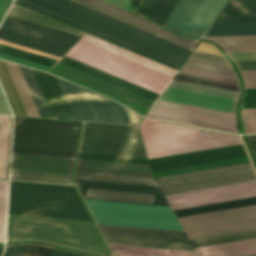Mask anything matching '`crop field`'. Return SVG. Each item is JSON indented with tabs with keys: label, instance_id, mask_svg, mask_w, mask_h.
Wrapping results in <instances>:
<instances>
[{
	"label": "crop field",
	"instance_id": "1",
	"mask_svg": "<svg viewBox=\"0 0 256 256\" xmlns=\"http://www.w3.org/2000/svg\"><path fill=\"white\" fill-rule=\"evenodd\" d=\"M15 3L94 34L139 54L179 68L191 51L70 0H15Z\"/></svg>",
	"mask_w": 256,
	"mask_h": 256
},
{
	"label": "crop field",
	"instance_id": "2",
	"mask_svg": "<svg viewBox=\"0 0 256 256\" xmlns=\"http://www.w3.org/2000/svg\"><path fill=\"white\" fill-rule=\"evenodd\" d=\"M37 239L109 255L93 222L9 214L7 240Z\"/></svg>",
	"mask_w": 256,
	"mask_h": 256
},
{
	"label": "crop field",
	"instance_id": "3",
	"mask_svg": "<svg viewBox=\"0 0 256 256\" xmlns=\"http://www.w3.org/2000/svg\"><path fill=\"white\" fill-rule=\"evenodd\" d=\"M9 213L91 221L74 187L11 182Z\"/></svg>",
	"mask_w": 256,
	"mask_h": 256
},
{
	"label": "crop field",
	"instance_id": "4",
	"mask_svg": "<svg viewBox=\"0 0 256 256\" xmlns=\"http://www.w3.org/2000/svg\"><path fill=\"white\" fill-rule=\"evenodd\" d=\"M80 122L15 117L13 152L75 158Z\"/></svg>",
	"mask_w": 256,
	"mask_h": 256
},
{
	"label": "crop field",
	"instance_id": "5",
	"mask_svg": "<svg viewBox=\"0 0 256 256\" xmlns=\"http://www.w3.org/2000/svg\"><path fill=\"white\" fill-rule=\"evenodd\" d=\"M140 128L149 159L241 143L237 136L146 118L143 119ZM202 131H205V134Z\"/></svg>",
	"mask_w": 256,
	"mask_h": 256
},
{
	"label": "crop field",
	"instance_id": "6",
	"mask_svg": "<svg viewBox=\"0 0 256 256\" xmlns=\"http://www.w3.org/2000/svg\"><path fill=\"white\" fill-rule=\"evenodd\" d=\"M99 227L107 243L194 251L185 232L105 225ZM113 244L109 246L114 256H197L190 251Z\"/></svg>",
	"mask_w": 256,
	"mask_h": 256
},
{
	"label": "crop field",
	"instance_id": "7",
	"mask_svg": "<svg viewBox=\"0 0 256 256\" xmlns=\"http://www.w3.org/2000/svg\"><path fill=\"white\" fill-rule=\"evenodd\" d=\"M131 83L160 94L171 77L80 40L67 54Z\"/></svg>",
	"mask_w": 256,
	"mask_h": 256
},
{
	"label": "crop field",
	"instance_id": "8",
	"mask_svg": "<svg viewBox=\"0 0 256 256\" xmlns=\"http://www.w3.org/2000/svg\"><path fill=\"white\" fill-rule=\"evenodd\" d=\"M97 224L183 231L170 207L85 199Z\"/></svg>",
	"mask_w": 256,
	"mask_h": 256
},
{
	"label": "crop field",
	"instance_id": "9",
	"mask_svg": "<svg viewBox=\"0 0 256 256\" xmlns=\"http://www.w3.org/2000/svg\"><path fill=\"white\" fill-rule=\"evenodd\" d=\"M84 152L147 158L139 126L85 122Z\"/></svg>",
	"mask_w": 256,
	"mask_h": 256
},
{
	"label": "crop field",
	"instance_id": "10",
	"mask_svg": "<svg viewBox=\"0 0 256 256\" xmlns=\"http://www.w3.org/2000/svg\"><path fill=\"white\" fill-rule=\"evenodd\" d=\"M57 80L75 119L139 124L143 118L106 97L62 79Z\"/></svg>",
	"mask_w": 256,
	"mask_h": 256
},
{
	"label": "crop field",
	"instance_id": "11",
	"mask_svg": "<svg viewBox=\"0 0 256 256\" xmlns=\"http://www.w3.org/2000/svg\"><path fill=\"white\" fill-rule=\"evenodd\" d=\"M80 36L6 16L0 39L62 57Z\"/></svg>",
	"mask_w": 256,
	"mask_h": 256
},
{
	"label": "crop field",
	"instance_id": "12",
	"mask_svg": "<svg viewBox=\"0 0 256 256\" xmlns=\"http://www.w3.org/2000/svg\"><path fill=\"white\" fill-rule=\"evenodd\" d=\"M190 239L256 227V205L178 218Z\"/></svg>",
	"mask_w": 256,
	"mask_h": 256
},
{
	"label": "crop field",
	"instance_id": "13",
	"mask_svg": "<svg viewBox=\"0 0 256 256\" xmlns=\"http://www.w3.org/2000/svg\"><path fill=\"white\" fill-rule=\"evenodd\" d=\"M226 2L179 0L163 26L185 37L202 39Z\"/></svg>",
	"mask_w": 256,
	"mask_h": 256
},
{
	"label": "crop field",
	"instance_id": "14",
	"mask_svg": "<svg viewBox=\"0 0 256 256\" xmlns=\"http://www.w3.org/2000/svg\"><path fill=\"white\" fill-rule=\"evenodd\" d=\"M183 179L185 181H183ZM256 179L249 163L157 178L163 195ZM172 182V183H170Z\"/></svg>",
	"mask_w": 256,
	"mask_h": 256
},
{
	"label": "crop field",
	"instance_id": "15",
	"mask_svg": "<svg viewBox=\"0 0 256 256\" xmlns=\"http://www.w3.org/2000/svg\"><path fill=\"white\" fill-rule=\"evenodd\" d=\"M74 160L13 153L11 179L71 184Z\"/></svg>",
	"mask_w": 256,
	"mask_h": 256
},
{
	"label": "crop field",
	"instance_id": "16",
	"mask_svg": "<svg viewBox=\"0 0 256 256\" xmlns=\"http://www.w3.org/2000/svg\"><path fill=\"white\" fill-rule=\"evenodd\" d=\"M247 156L242 145H233L210 150L180 154L175 156L157 158V159H143L123 156H113L104 154L84 153L80 152L79 157L134 162L150 164L152 172L245 157Z\"/></svg>",
	"mask_w": 256,
	"mask_h": 256
},
{
	"label": "crop field",
	"instance_id": "17",
	"mask_svg": "<svg viewBox=\"0 0 256 256\" xmlns=\"http://www.w3.org/2000/svg\"><path fill=\"white\" fill-rule=\"evenodd\" d=\"M174 79L238 91V80L220 55L194 51Z\"/></svg>",
	"mask_w": 256,
	"mask_h": 256
},
{
	"label": "crop field",
	"instance_id": "18",
	"mask_svg": "<svg viewBox=\"0 0 256 256\" xmlns=\"http://www.w3.org/2000/svg\"><path fill=\"white\" fill-rule=\"evenodd\" d=\"M75 178L157 186L149 165L78 158Z\"/></svg>",
	"mask_w": 256,
	"mask_h": 256
},
{
	"label": "crop field",
	"instance_id": "19",
	"mask_svg": "<svg viewBox=\"0 0 256 256\" xmlns=\"http://www.w3.org/2000/svg\"><path fill=\"white\" fill-rule=\"evenodd\" d=\"M83 198L169 206L158 187L75 179Z\"/></svg>",
	"mask_w": 256,
	"mask_h": 256
},
{
	"label": "crop field",
	"instance_id": "20",
	"mask_svg": "<svg viewBox=\"0 0 256 256\" xmlns=\"http://www.w3.org/2000/svg\"><path fill=\"white\" fill-rule=\"evenodd\" d=\"M254 195H256V180L166 195L165 198L172 209H176Z\"/></svg>",
	"mask_w": 256,
	"mask_h": 256
},
{
	"label": "crop field",
	"instance_id": "21",
	"mask_svg": "<svg viewBox=\"0 0 256 256\" xmlns=\"http://www.w3.org/2000/svg\"><path fill=\"white\" fill-rule=\"evenodd\" d=\"M72 1L82 4L86 7H89L93 10L101 12L110 17H113L122 22H125L129 25L136 27V28L144 30L148 33L156 35L160 38H163L167 41L175 43L179 46L187 48L191 51H193V49L199 43V41H196V40L184 39L180 36L174 35V34L170 33L169 31H167L165 28L159 26L158 24H156L148 19H145L141 16L133 14L129 11L121 9L117 6L109 4L102 0H72Z\"/></svg>",
	"mask_w": 256,
	"mask_h": 256
},
{
	"label": "crop field",
	"instance_id": "22",
	"mask_svg": "<svg viewBox=\"0 0 256 256\" xmlns=\"http://www.w3.org/2000/svg\"><path fill=\"white\" fill-rule=\"evenodd\" d=\"M151 113L236 127L235 114L158 100Z\"/></svg>",
	"mask_w": 256,
	"mask_h": 256
},
{
	"label": "crop field",
	"instance_id": "23",
	"mask_svg": "<svg viewBox=\"0 0 256 256\" xmlns=\"http://www.w3.org/2000/svg\"><path fill=\"white\" fill-rule=\"evenodd\" d=\"M159 99L233 113H235V106L237 101L235 99H229L169 87L164 90Z\"/></svg>",
	"mask_w": 256,
	"mask_h": 256
},
{
	"label": "crop field",
	"instance_id": "24",
	"mask_svg": "<svg viewBox=\"0 0 256 256\" xmlns=\"http://www.w3.org/2000/svg\"><path fill=\"white\" fill-rule=\"evenodd\" d=\"M52 117L74 119L56 78L31 69Z\"/></svg>",
	"mask_w": 256,
	"mask_h": 256
},
{
	"label": "crop field",
	"instance_id": "25",
	"mask_svg": "<svg viewBox=\"0 0 256 256\" xmlns=\"http://www.w3.org/2000/svg\"><path fill=\"white\" fill-rule=\"evenodd\" d=\"M196 252L256 242V228L191 240Z\"/></svg>",
	"mask_w": 256,
	"mask_h": 256
},
{
	"label": "crop field",
	"instance_id": "26",
	"mask_svg": "<svg viewBox=\"0 0 256 256\" xmlns=\"http://www.w3.org/2000/svg\"><path fill=\"white\" fill-rule=\"evenodd\" d=\"M60 62L65 63V64H67V65H69V66H72V67H74V68H77V69H79V70H81V71H84V72H86V73H89V74H91V75H93V76H96V77H98V78H101V79H103V80H105V81H108V82H110V83H113V84H115V85H117V86H120V87H122V88H125V89H127V90H129V91H132V92H134V93H137V94H139V95H141V96H144V97H146V98H149V99H151V100H153V101H155V99L158 97V94H156V93H153V92H151V91H149V90H146V89H144V88H141V87H139V86H136V85H134V84H131V83L127 82V81H124V80H122V79H119V78H117V77H114V76H112V75H110V74H107V73H105V72H102V71H100V70H97V69H95V68H93V67H90V66H88V65H85V64L80 63V62H78V61H75V60H73V59H71V58H68V57H66V56H64V57L60 60Z\"/></svg>",
	"mask_w": 256,
	"mask_h": 256
},
{
	"label": "crop field",
	"instance_id": "27",
	"mask_svg": "<svg viewBox=\"0 0 256 256\" xmlns=\"http://www.w3.org/2000/svg\"><path fill=\"white\" fill-rule=\"evenodd\" d=\"M82 40L87 41V42H89V43H91V44H94V45H96V46H99V47H101V48H104V49H106V50H108V51H111V52H113V53H116V54H118V55H120V56H123V57H125V58H128V59H130V60H133V61H135V62H137V63H140V64H142V65H145V66H147V67H150V68H152V69H154V70H157V71H159V72H162V73H164V74H166V75H169V76H171V77H173L174 73L176 72V70H174V69H171V68H168V67H166V66H163V65H160V64H158V63H155V62H153V61H150V60H148V59H146V58H143V57L138 56V55H136V54H134V53H131V52H129V51H126V50H124V49H121V48H119V47H117V46H114V45H112V44H109V43H107V42H105V41H102V40H100V39H97V38H95V37H93V36H90V35H88V34H86V35L82 38Z\"/></svg>",
	"mask_w": 256,
	"mask_h": 256
},
{
	"label": "crop field",
	"instance_id": "28",
	"mask_svg": "<svg viewBox=\"0 0 256 256\" xmlns=\"http://www.w3.org/2000/svg\"><path fill=\"white\" fill-rule=\"evenodd\" d=\"M54 68L151 107L153 101L58 62Z\"/></svg>",
	"mask_w": 256,
	"mask_h": 256
},
{
	"label": "crop field",
	"instance_id": "29",
	"mask_svg": "<svg viewBox=\"0 0 256 256\" xmlns=\"http://www.w3.org/2000/svg\"><path fill=\"white\" fill-rule=\"evenodd\" d=\"M141 0H131L134 8ZM178 0H143L136 11L163 25Z\"/></svg>",
	"mask_w": 256,
	"mask_h": 256
},
{
	"label": "crop field",
	"instance_id": "30",
	"mask_svg": "<svg viewBox=\"0 0 256 256\" xmlns=\"http://www.w3.org/2000/svg\"><path fill=\"white\" fill-rule=\"evenodd\" d=\"M49 73L54 74V75H56V76H58V77H61V78H63V79H66V80H68V81H71V82H73V83H75V84H78V85H80V86H83V87H85V88H87V89H90V90H92V91H95V92H97V93H100V94H102V95H104V96H107V97H109V98H112V99H114V100H116V101H118V102H120V103H122V104L128 106L129 108H131L132 110L136 111L137 113H139V114H141V115H145L146 111L149 109V107H147V106H144V105L139 104V103H137V102H135V101H132V100H130V99H127V98H125V97H122V96H120V95H117V94H115V93H113V92H110V91H108V90H105V89H103V88H100V87H98V86H95V85H93V84H90V83H88V82H86V81H83V80H81V79H78V78H76V77H73V76H71V75H68V74H66V73H64V72H61V71H59V70H56V69H54V68H52V69L49 71Z\"/></svg>",
	"mask_w": 256,
	"mask_h": 256
},
{
	"label": "crop field",
	"instance_id": "31",
	"mask_svg": "<svg viewBox=\"0 0 256 256\" xmlns=\"http://www.w3.org/2000/svg\"><path fill=\"white\" fill-rule=\"evenodd\" d=\"M8 16L23 19V20H26V21H30V22L37 23V24H40V25L48 26V27H51V28H55V29H58V30L65 31V32L73 33V34H76V35H80V36L84 35V33L80 32V31L72 29L68 26H65L61 23L53 21L49 18H46L42 15L34 13L30 10H27V9L22 8L20 6H17L15 4H13L11 10L8 13Z\"/></svg>",
	"mask_w": 256,
	"mask_h": 256
},
{
	"label": "crop field",
	"instance_id": "32",
	"mask_svg": "<svg viewBox=\"0 0 256 256\" xmlns=\"http://www.w3.org/2000/svg\"><path fill=\"white\" fill-rule=\"evenodd\" d=\"M219 44L225 52L256 51V36L205 37Z\"/></svg>",
	"mask_w": 256,
	"mask_h": 256
},
{
	"label": "crop field",
	"instance_id": "33",
	"mask_svg": "<svg viewBox=\"0 0 256 256\" xmlns=\"http://www.w3.org/2000/svg\"><path fill=\"white\" fill-rule=\"evenodd\" d=\"M0 81L15 115L28 116L4 61L0 60Z\"/></svg>",
	"mask_w": 256,
	"mask_h": 256
},
{
	"label": "crop field",
	"instance_id": "34",
	"mask_svg": "<svg viewBox=\"0 0 256 256\" xmlns=\"http://www.w3.org/2000/svg\"><path fill=\"white\" fill-rule=\"evenodd\" d=\"M256 35V22L214 23L205 36Z\"/></svg>",
	"mask_w": 256,
	"mask_h": 256
},
{
	"label": "crop field",
	"instance_id": "35",
	"mask_svg": "<svg viewBox=\"0 0 256 256\" xmlns=\"http://www.w3.org/2000/svg\"><path fill=\"white\" fill-rule=\"evenodd\" d=\"M256 21V5L225 6L215 22Z\"/></svg>",
	"mask_w": 256,
	"mask_h": 256
},
{
	"label": "crop field",
	"instance_id": "36",
	"mask_svg": "<svg viewBox=\"0 0 256 256\" xmlns=\"http://www.w3.org/2000/svg\"><path fill=\"white\" fill-rule=\"evenodd\" d=\"M251 204H256V196L227 201V202L209 204L204 206L192 207L187 209L175 210L174 212L176 216L179 217V216H185V215H191V214H197V213H203V212H209V211H215V210H221V209H227V208H233V207H239V206H245V205H251Z\"/></svg>",
	"mask_w": 256,
	"mask_h": 256
},
{
	"label": "crop field",
	"instance_id": "37",
	"mask_svg": "<svg viewBox=\"0 0 256 256\" xmlns=\"http://www.w3.org/2000/svg\"><path fill=\"white\" fill-rule=\"evenodd\" d=\"M19 68L21 70V73H22L23 78L26 82V85L29 89V92L32 96V99L34 101V104L37 108V111H38L39 115L40 116H45V117H51L49 112H48V109L45 105V102L42 98V95L39 91V88L36 84V81L33 77V74L31 72V70L29 68L22 67V66H19Z\"/></svg>",
	"mask_w": 256,
	"mask_h": 256
},
{
	"label": "crop field",
	"instance_id": "38",
	"mask_svg": "<svg viewBox=\"0 0 256 256\" xmlns=\"http://www.w3.org/2000/svg\"><path fill=\"white\" fill-rule=\"evenodd\" d=\"M6 64L8 66V69H9L10 73H11V76H12V78L14 80V83H15L17 89H18V92H19V94L21 96V99H22V101L24 103V106H25V108L27 110L28 115L29 116H37V117H39L37 112H36V109L34 107V104H33L32 100H31V97H30V95L28 93V90H27V88L25 86V83L23 81V78H22V76L20 74V71H19L17 65L11 64V63H8V62H6Z\"/></svg>",
	"mask_w": 256,
	"mask_h": 256
},
{
	"label": "crop field",
	"instance_id": "39",
	"mask_svg": "<svg viewBox=\"0 0 256 256\" xmlns=\"http://www.w3.org/2000/svg\"><path fill=\"white\" fill-rule=\"evenodd\" d=\"M168 86L180 88V89L191 90V91L202 92V93H207V94H213V95H218V96H224V97H229V98H235V99H237V95H238V92H236V91L220 89V88L205 86V85H201V84L176 81V80H172Z\"/></svg>",
	"mask_w": 256,
	"mask_h": 256
},
{
	"label": "crop field",
	"instance_id": "40",
	"mask_svg": "<svg viewBox=\"0 0 256 256\" xmlns=\"http://www.w3.org/2000/svg\"><path fill=\"white\" fill-rule=\"evenodd\" d=\"M10 117H0V177L6 178Z\"/></svg>",
	"mask_w": 256,
	"mask_h": 256
},
{
	"label": "crop field",
	"instance_id": "41",
	"mask_svg": "<svg viewBox=\"0 0 256 256\" xmlns=\"http://www.w3.org/2000/svg\"><path fill=\"white\" fill-rule=\"evenodd\" d=\"M197 254H198V256H246V255H252V254H256V243L242 245V246H236V247H230V248H224V249H218V250H212V251H206V252H200Z\"/></svg>",
	"mask_w": 256,
	"mask_h": 256
},
{
	"label": "crop field",
	"instance_id": "42",
	"mask_svg": "<svg viewBox=\"0 0 256 256\" xmlns=\"http://www.w3.org/2000/svg\"><path fill=\"white\" fill-rule=\"evenodd\" d=\"M145 117L237 133L236 128L148 113Z\"/></svg>",
	"mask_w": 256,
	"mask_h": 256
},
{
	"label": "crop field",
	"instance_id": "43",
	"mask_svg": "<svg viewBox=\"0 0 256 256\" xmlns=\"http://www.w3.org/2000/svg\"><path fill=\"white\" fill-rule=\"evenodd\" d=\"M0 52L6 53V54H9V55H13V56H16V57H20V58H23V59H26V60H30V61H33V62H36V63H40V64H43V65H46V66H50V67H52L57 62V60H53V59H50V58H46V57H43V56H39V55H36V54H32V53H29V52H25V51L15 49V48H12V47H8V46H5V45H1V44H0Z\"/></svg>",
	"mask_w": 256,
	"mask_h": 256
},
{
	"label": "crop field",
	"instance_id": "44",
	"mask_svg": "<svg viewBox=\"0 0 256 256\" xmlns=\"http://www.w3.org/2000/svg\"><path fill=\"white\" fill-rule=\"evenodd\" d=\"M7 181L0 180V241H3Z\"/></svg>",
	"mask_w": 256,
	"mask_h": 256
},
{
	"label": "crop field",
	"instance_id": "45",
	"mask_svg": "<svg viewBox=\"0 0 256 256\" xmlns=\"http://www.w3.org/2000/svg\"><path fill=\"white\" fill-rule=\"evenodd\" d=\"M51 247L30 244L26 256H50Z\"/></svg>",
	"mask_w": 256,
	"mask_h": 256
},
{
	"label": "crop field",
	"instance_id": "46",
	"mask_svg": "<svg viewBox=\"0 0 256 256\" xmlns=\"http://www.w3.org/2000/svg\"><path fill=\"white\" fill-rule=\"evenodd\" d=\"M0 59L15 62V63H18V64L26 65V66L33 67V68L40 69V70H44V71H47L50 68V67H46V66H43V65H39V64H36V63L29 62V61H25V60H22V59H18V58H15V57H11V56H8V55H4V54H1V53H0Z\"/></svg>",
	"mask_w": 256,
	"mask_h": 256
},
{
	"label": "crop field",
	"instance_id": "47",
	"mask_svg": "<svg viewBox=\"0 0 256 256\" xmlns=\"http://www.w3.org/2000/svg\"><path fill=\"white\" fill-rule=\"evenodd\" d=\"M28 245L29 244L7 246L4 256H25Z\"/></svg>",
	"mask_w": 256,
	"mask_h": 256
},
{
	"label": "crop field",
	"instance_id": "48",
	"mask_svg": "<svg viewBox=\"0 0 256 256\" xmlns=\"http://www.w3.org/2000/svg\"><path fill=\"white\" fill-rule=\"evenodd\" d=\"M245 88H256V71H240Z\"/></svg>",
	"mask_w": 256,
	"mask_h": 256
},
{
	"label": "crop field",
	"instance_id": "49",
	"mask_svg": "<svg viewBox=\"0 0 256 256\" xmlns=\"http://www.w3.org/2000/svg\"><path fill=\"white\" fill-rule=\"evenodd\" d=\"M243 108H256V89H246Z\"/></svg>",
	"mask_w": 256,
	"mask_h": 256
},
{
	"label": "crop field",
	"instance_id": "50",
	"mask_svg": "<svg viewBox=\"0 0 256 256\" xmlns=\"http://www.w3.org/2000/svg\"><path fill=\"white\" fill-rule=\"evenodd\" d=\"M233 61L256 60V52L227 53Z\"/></svg>",
	"mask_w": 256,
	"mask_h": 256
},
{
	"label": "crop field",
	"instance_id": "51",
	"mask_svg": "<svg viewBox=\"0 0 256 256\" xmlns=\"http://www.w3.org/2000/svg\"><path fill=\"white\" fill-rule=\"evenodd\" d=\"M239 70H256V61L235 62Z\"/></svg>",
	"mask_w": 256,
	"mask_h": 256
},
{
	"label": "crop field",
	"instance_id": "52",
	"mask_svg": "<svg viewBox=\"0 0 256 256\" xmlns=\"http://www.w3.org/2000/svg\"><path fill=\"white\" fill-rule=\"evenodd\" d=\"M124 9L131 11L133 9L129 0H105Z\"/></svg>",
	"mask_w": 256,
	"mask_h": 256
},
{
	"label": "crop field",
	"instance_id": "53",
	"mask_svg": "<svg viewBox=\"0 0 256 256\" xmlns=\"http://www.w3.org/2000/svg\"><path fill=\"white\" fill-rule=\"evenodd\" d=\"M245 133H256V121H244Z\"/></svg>",
	"mask_w": 256,
	"mask_h": 256
},
{
	"label": "crop field",
	"instance_id": "54",
	"mask_svg": "<svg viewBox=\"0 0 256 256\" xmlns=\"http://www.w3.org/2000/svg\"><path fill=\"white\" fill-rule=\"evenodd\" d=\"M256 159V135H245Z\"/></svg>",
	"mask_w": 256,
	"mask_h": 256
},
{
	"label": "crop field",
	"instance_id": "55",
	"mask_svg": "<svg viewBox=\"0 0 256 256\" xmlns=\"http://www.w3.org/2000/svg\"><path fill=\"white\" fill-rule=\"evenodd\" d=\"M12 0H0V21Z\"/></svg>",
	"mask_w": 256,
	"mask_h": 256
},
{
	"label": "crop field",
	"instance_id": "56",
	"mask_svg": "<svg viewBox=\"0 0 256 256\" xmlns=\"http://www.w3.org/2000/svg\"><path fill=\"white\" fill-rule=\"evenodd\" d=\"M256 4V0H228L226 5Z\"/></svg>",
	"mask_w": 256,
	"mask_h": 256
},
{
	"label": "crop field",
	"instance_id": "57",
	"mask_svg": "<svg viewBox=\"0 0 256 256\" xmlns=\"http://www.w3.org/2000/svg\"><path fill=\"white\" fill-rule=\"evenodd\" d=\"M0 114L9 115L8 112H7V109L5 107V104L3 102L1 94H0Z\"/></svg>",
	"mask_w": 256,
	"mask_h": 256
},
{
	"label": "crop field",
	"instance_id": "58",
	"mask_svg": "<svg viewBox=\"0 0 256 256\" xmlns=\"http://www.w3.org/2000/svg\"><path fill=\"white\" fill-rule=\"evenodd\" d=\"M242 115H256V109H243Z\"/></svg>",
	"mask_w": 256,
	"mask_h": 256
},
{
	"label": "crop field",
	"instance_id": "59",
	"mask_svg": "<svg viewBox=\"0 0 256 256\" xmlns=\"http://www.w3.org/2000/svg\"><path fill=\"white\" fill-rule=\"evenodd\" d=\"M63 252H64L63 250H59V249L54 248L51 256H62Z\"/></svg>",
	"mask_w": 256,
	"mask_h": 256
},
{
	"label": "crop field",
	"instance_id": "60",
	"mask_svg": "<svg viewBox=\"0 0 256 256\" xmlns=\"http://www.w3.org/2000/svg\"><path fill=\"white\" fill-rule=\"evenodd\" d=\"M242 120H256V116H242Z\"/></svg>",
	"mask_w": 256,
	"mask_h": 256
},
{
	"label": "crop field",
	"instance_id": "61",
	"mask_svg": "<svg viewBox=\"0 0 256 256\" xmlns=\"http://www.w3.org/2000/svg\"><path fill=\"white\" fill-rule=\"evenodd\" d=\"M78 255H79V254L71 253V252L65 251L63 256H78Z\"/></svg>",
	"mask_w": 256,
	"mask_h": 256
},
{
	"label": "crop field",
	"instance_id": "62",
	"mask_svg": "<svg viewBox=\"0 0 256 256\" xmlns=\"http://www.w3.org/2000/svg\"><path fill=\"white\" fill-rule=\"evenodd\" d=\"M79 256H86V255H82V254H80Z\"/></svg>",
	"mask_w": 256,
	"mask_h": 256
},
{
	"label": "crop field",
	"instance_id": "63",
	"mask_svg": "<svg viewBox=\"0 0 256 256\" xmlns=\"http://www.w3.org/2000/svg\"><path fill=\"white\" fill-rule=\"evenodd\" d=\"M252 256H256V255H252Z\"/></svg>",
	"mask_w": 256,
	"mask_h": 256
}]
</instances>
